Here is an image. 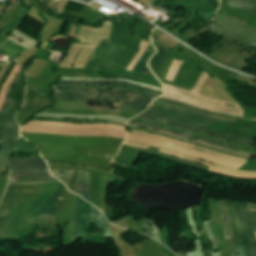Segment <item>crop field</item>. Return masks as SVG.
Wrapping results in <instances>:
<instances>
[{"label": "crop field", "instance_id": "8a807250", "mask_svg": "<svg viewBox=\"0 0 256 256\" xmlns=\"http://www.w3.org/2000/svg\"><path fill=\"white\" fill-rule=\"evenodd\" d=\"M36 145L46 161L84 165L113 171L111 160L123 139L21 133Z\"/></svg>", "mask_w": 256, "mask_h": 256}, {"label": "crop field", "instance_id": "ac0d7876", "mask_svg": "<svg viewBox=\"0 0 256 256\" xmlns=\"http://www.w3.org/2000/svg\"><path fill=\"white\" fill-rule=\"evenodd\" d=\"M55 90L54 100L69 102H116L135 108L148 107L156 98L127 90H107L53 86Z\"/></svg>", "mask_w": 256, "mask_h": 256}, {"label": "crop field", "instance_id": "34b2d1b8", "mask_svg": "<svg viewBox=\"0 0 256 256\" xmlns=\"http://www.w3.org/2000/svg\"><path fill=\"white\" fill-rule=\"evenodd\" d=\"M20 185L9 184L0 204V232L7 218L14 196ZM44 188L37 197L28 214L56 216L60 195L65 185L61 182L43 184Z\"/></svg>", "mask_w": 256, "mask_h": 256}, {"label": "crop field", "instance_id": "412701ff", "mask_svg": "<svg viewBox=\"0 0 256 256\" xmlns=\"http://www.w3.org/2000/svg\"><path fill=\"white\" fill-rule=\"evenodd\" d=\"M226 204L232 235H240L247 256H256V238L248 205L241 206L238 203L229 202H226Z\"/></svg>", "mask_w": 256, "mask_h": 256}, {"label": "crop field", "instance_id": "f4fd0767", "mask_svg": "<svg viewBox=\"0 0 256 256\" xmlns=\"http://www.w3.org/2000/svg\"><path fill=\"white\" fill-rule=\"evenodd\" d=\"M128 140L143 143V144H147V145L157 146V147H161V148H165V149H169V150H172V151L177 152V153H181V154H184V155L196 157V158L203 159V160H206V161L218 163V164L225 165V166L235 168V169H238L242 165L245 164V163H242V162H237V161H234V160L213 156V155H210V154L205 153L203 151L191 149V148H188V147H185V146H182V145L169 143V142H166V141L150 138V137H147V136L136 135V134H132V133H129V132H128Z\"/></svg>", "mask_w": 256, "mask_h": 256}, {"label": "crop field", "instance_id": "dd49c442", "mask_svg": "<svg viewBox=\"0 0 256 256\" xmlns=\"http://www.w3.org/2000/svg\"><path fill=\"white\" fill-rule=\"evenodd\" d=\"M149 111L163 113L175 118L186 120L192 123L209 126L213 123L222 122H233L234 119L216 117L214 115L206 114L196 110L187 109L184 107L164 103L155 100L154 103L147 109Z\"/></svg>", "mask_w": 256, "mask_h": 256}, {"label": "crop field", "instance_id": "e52e79f7", "mask_svg": "<svg viewBox=\"0 0 256 256\" xmlns=\"http://www.w3.org/2000/svg\"><path fill=\"white\" fill-rule=\"evenodd\" d=\"M21 132L36 133H55L79 136H111L117 138H126V131L112 128H69L53 125H24Z\"/></svg>", "mask_w": 256, "mask_h": 256}, {"label": "crop field", "instance_id": "d8731c3e", "mask_svg": "<svg viewBox=\"0 0 256 256\" xmlns=\"http://www.w3.org/2000/svg\"><path fill=\"white\" fill-rule=\"evenodd\" d=\"M90 211L91 204L76 195L72 225V238L74 242L77 238L87 234V230L92 228Z\"/></svg>", "mask_w": 256, "mask_h": 256}, {"label": "crop field", "instance_id": "5a996713", "mask_svg": "<svg viewBox=\"0 0 256 256\" xmlns=\"http://www.w3.org/2000/svg\"><path fill=\"white\" fill-rule=\"evenodd\" d=\"M18 138L19 125L15 118H13L4 131L3 142L0 149V168L7 166L8 158L16 148Z\"/></svg>", "mask_w": 256, "mask_h": 256}, {"label": "crop field", "instance_id": "3316defc", "mask_svg": "<svg viewBox=\"0 0 256 256\" xmlns=\"http://www.w3.org/2000/svg\"><path fill=\"white\" fill-rule=\"evenodd\" d=\"M164 86L166 88L165 92H167V93L183 96V97H186L188 99L197 100L199 102L209 104V105H213V106H217V107H222V108H227V109H231V110L244 112L243 109L239 106L238 103L217 100V99H214V98L209 97V96L193 93V92L183 90V89H180V88H177V87H174V86H171V85H167V84H164ZM225 104L234 105L238 108L229 107V106H226Z\"/></svg>", "mask_w": 256, "mask_h": 256}, {"label": "crop field", "instance_id": "28ad6ade", "mask_svg": "<svg viewBox=\"0 0 256 256\" xmlns=\"http://www.w3.org/2000/svg\"><path fill=\"white\" fill-rule=\"evenodd\" d=\"M214 22L245 38L256 42L255 29L227 17L224 13L217 15L214 19Z\"/></svg>", "mask_w": 256, "mask_h": 256}, {"label": "crop field", "instance_id": "d1516ede", "mask_svg": "<svg viewBox=\"0 0 256 256\" xmlns=\"http://www.w3.org/2000/svg\"><path fill=\"white\" fill-rule=\"evenodd\" d=\"M159 151L164 152V153H168V154H171V155H175V156L187 159V160H191V161H195V162L202 163V164H205V165H209V166H211L210 171H213V172H217V173H221V174H225V175H230V176L242 177V178H256V172H248V171H239V170H234V169H227V168H224V167H221V166H218V165H214V164H211V163H208V162H204V161H201V160H198V159H195V158L182 156V155L175 154V153H172V152H169V151H165V150H161V149H159Z\"/></svg>", "mask_w": 256, "mask_h": 256}, {"label": "crop field", "instance_id": "22f410ed", "mask_svg": "<svg viewBox=\"0 0 256 256\" xmlns=\"http://www.w3.org/2000/svg\"><path fill=\"white\" fill-rule=\"evenodd\" d=\"M129 124L144 126V127H147V128L156 129V130H160V131L176 134V135H179V136H182V137H186V138H189V139H192V140H196V141H201V142H204L206 144L218 146V147H221V148H224V149H227V150H231V151H235V152H241V153L255 154L256 155V152H254V151H247V150H242V149H236V148H233L231 146L214 143V142H211V141H208V140H204V139H201V138H197V137L189 136V135H186V134H182V133H179V132H176V131H173V130H169V129H165V128H160V127H156V126H152V125H148V124H144V123H140V122H136V121H133V120H131L129 122Z\"/></svg>", "mask_w": 256, "mask_h": 256}, {"label": "crop field", "instance_id": "cbeb9de0", "mask_svg": "<svg viewBox=\"0 0 256 256\" xmlns=\"http://www.w3.org/2000/svg\"><path fill=\"white\" fill-rule=\"evenodd\" d=\"M52 177L48 170L42 171H11L10 181H36L50 180Z\"/></svg>", "mask_w": 256, "mask_h": 256}, {"label": "crop field", "instance_id": "5142ce71", "mask_svg": "<svg viewBox=\"0 0 256 256\" xmlns=\"http://www.w3.org/2000/svg\"><path fill=\"white\" fill-rule=\"evenodd\" d=\"M10 170H42L48 169L43 159H11ZM15 168V169H11Z\"/></svg>", "mask_w": 256, "mask_h": 256}, {"label": "crop field", "instance_id": "d9b57169", "mask_svg": "<svg viewBox=\"0 0 256 256\" xmlns=\"http://www.w3.org/2000/svg\"><path fill=\"white\" fill-rule=\"evenodd\" d=\"M51 103L52 102L48 99L47 96L35 95L30 89L27 88L26 101L23 105L24 108H28L33 111H38L43 106H48Z\"/></svg>", "mask_w": 256, "mask_h": 256}, {"label": "crop field", "instance_id": "733c2abd", "mask_svg": "<svg viewBox=\"0 0 256 256\" xmlns=\"http://www.w3.org/2000/svg\"><path fill=\"white\" fill-rule=\"evenodd\" d=\"M138 117H142V118H146V119H150V120L164 122V123L176 126V127L186 128L188 130L198 131V132L205 133V134L211 135L213 137L221 138V139H224V140H227V141H231V142H237V143H240V144L256 146V144L253 143V142L240 141V140H236L234 138H228V137H224V136H221V135H215V134H212V133H210L208 131L199 130V129H196V128L184 126V125H181V124H178V123H174V122H171V121H167V120H163V119H159V118H155V117H151V116H147V115H143V114L139 115Z\"/></svg>", "mask_w": 256, "mask_h": 256}, {"label": "crop field", "instance_id": "4a817a6b", "mask_svg": "<svg viewBox=\"0 0 256 256\" xmlns=\"http://www.w3.org/2000/svg\"><path fill=\"white\" fill-rule=\"evenodd\" d=\"M76 192L86 200L90 201V173L83 171L79 172Z\"/></svg>", "mask_w": 256, "mask_h": 256}, {"label": "crop field", "instance_id": "bc2a9ffb", "mask_svg": "<svg viewBox=\"0 0 256 256\" xmlns=\"http://www.w3.org/2000/svg\"><path fill=\"white\" fill-rule=\"evenodd\" d=\"M29 12L23 7L20 6L17 14L11 20V22L0 32V46L5 42L6 36L3 35L4 32L14 30L27 16Z\"/></svg>", "mask_w": 256, "mask_h": 256}, {"label": "crop field", "instance_id": "214f88e0", "mask_svg": "<svg viewBox=\"0 0 256 256\" xmlns=\"http://www.w3.org/2000/svg\"><path fill=\"white\" fill-rule=\"evenodd\" d=\"M144 113L145 114H149V115H153V116H157V117H161V118H165V119H169L171 121L182 123V124H185V125H188V126H192V127H196V128H200V129H204V130L220 133L222 135L238 137V138H242V139H246V140L255 142L254 139H252V138H248V137L241 136V135H236V134H231V133H227V132L213 130L211 128L199 126V125H196V124H192V123H189V122H186V121H182V120L175 119V118H172V117L164 116V115H161V114H157V113H153V112H148V111H145Z\"/></svg>", "mask_w": 256, "mask_h": 256}, {"label": "crop field", "instance_id": "92a150f3", "mask_svg": "<svg viewBox=\"0 0 256 256\" xmlns=\"http://www.w3.org/2000/svg\"><path fill=\"white\" fill-rule=\"evenodd\" d=\"M114 42L105 40L101 43V45L96 49V51L93 53L92 57L90 58L88 65L86 68H92L97 69L98 64L105 54V52L108 50L110 46H112ZM110 49V48H109Z\"/></svg>", "mask_w": 256, "mask_h": 256}, {"label": "crop field", "instance_id": "dafd665d", "mask_svg": "<svg viewBox=\"0 0 256 256\" xmlns=\"http://www.w3.org/2000/svg\"><path fill=\"white\" fill-rule=\"evenodd\" d=\"M92 223L94 227H97L98 229L102 227L106 237H112L106 218L103 216L102 212L99 209L95 208L93 205H92Z\"/></svg>", "mask_w": 256, "mask_h": 256}, {"label": "crop field", "instance_id": "00972430", "mask_svg": "<svg viewBox=\"0 0 256 256\" xmlns=\"http://www.w3.org/2000/svg\"><path fill=\"white\" fill-rule=\"evenodd\" d=\"M220 212H221V217H222V221H223L226 237H227V240H228V246L230 248L231 254H232V256H237L235 245L233 243V240H232V237H231V233H230L228 216H227V211H226V207H225L224 201L220 202Z\"/></svg>", "mask_w": 256, "mask_h": 256}, {"label": "crop field", "instance_id": "a9b5d70f", "mask_svg": "<svg viewBox=\"0 0 256 256\" xmlns=\"http://www.w3.org/2000/svg\"><path fill=\"white\" fill-rule=\"evenodd\" d=\"M154 53H155V48L152 46V44H150L145 54L140 59V61L138 62L136 67L133 69V71L153 75L147 66V61Z\"/></svg>", "mask_w": 256, "mask_h": 256}, {"label": "crop field", "instance_id": "4177f3b9", "mask_svg": "<svg viewBox=\"0 0 256 256\" xmlns=\"http://www.w3.org/2000/svg\"><path fill=\"white\" fill-rule=\"evenodd\" d=\"M17 101L11 98V103L6 112L0 117V144L2 142L3 131L13 117Z\"/></svg>", "mask_w": 256, "mask_h": 256}, {"label": "crop field", "instance_id": "730fd06b", "mask_svg": "<svg viewBox=\"0 0 256 256\" xmlns=\"http://www.w3.org/2000/svg\"><path fill=\"white\" fill-rule=\"evenodd\" d=\"M155 47L158 48V52L155 54V56L151 59L150 61V68L155 72L157 75L158 70L165 59V57L168 55L170 52L169 50L165 49L164 47H158L155 45ZM153 72V73H154Z\"/></svg>", "mask_w": 256, "mask_h": 256}, {"label": "crop field", "instance_id": "eef30255", "mask_svg": "<svg viewBox=\"0 0 256 256\" xmlns=\"http://www.w3.org/2000/svg\"><path fill=\"white\" fill-rule=\"evenodd\" d=\"M26 49L18 46L17 44L11 42V41H7L6 44L4 46H2V48L0 49V51L4 54H6L7 56L13 58V59H17V57Z\"/></svg>", "mask_w": 256, "mask_h": 256}, {"label": "crop field", "instance_id": "ae1a2a85", "mask_svg": "<svg viewBox=\"0 0 256 256\" xmlns=\"http://www.w3.org/2000/svg\"><path fill=\"white\" fill-rule=\"evenodd\" d=\"M84 6L85 4L69 0L62 14L76 20L79 12L84 8Z\"/></svg>", "mask_w": 256, "mask_h": 256}, {"label": "crop field", "instance_id": "d3111659", "mask_svg": "<svg viewBox=\"0 0 256 256\" xmlns=\"http://www.w3.org/2000/svg\"><path fill=\"white\" fill-rule=\"evenodd\" d=\"M59 84L104 85L106 83H101V82H80V81H61ZM111 84L123 85V86H127V87H132V88L144 90V91H147V92H150V93H153V94H157V95H160V96L162 95L161 92L150 90V89L139 87V86H135V85L125 84V83H111Z\"/></svg>", "mask_w": 256, "mask_h": 256}, {"label": "crop field", "instance_id": "750c4746", "mask_svg": "<svg viewBox=\"0 0 256 256\" xmlns=\"http://www.w3.org/2000/svg\"><path fill=\"white\" fill-rule=\"evenodd\" d=\"M164 96H165V97L174 98V99H178V100H181V101H184V102H187V103H191V104H194V105H197V106H200V107H204V108L210 109V110H212V111L243 116V113H241V112L229 111V110H222V109L215 108V107H212V106H208V105H205V104L196 102V101H192V100H187V99L179 98V97H176V96H173V95H169V94H166V93L164 94Z\"/></svg>", "mask_w": 256, "mask_h": 256}, {"label": "crop field", "instance_id": "bd1437ed", "mask_svg": "<svg viewBox=\"0 0 256 256\" xmlns=\"http://www.w3.org/2000/svg\"><path fill=\"white\" fill-rule=\"evenodd\" d=\"M228 6L256 13V3L244 0H228Z\"/></svg>", "mask_w": 256, "mask_h": 256}, {"label": "crop field", "instance_id": "1d83c4d3", "mask_svg": "<svg viewBox=\"0 0 256 256\" xmlns=\"http://www.w3.org/2000/svg\"><path fill=\"white\" fill-rule=\"evenodd\" d=\"M62 80L126 81V82L134 83V84H137V85H140V86H144V87H147V88H152V89H155V90H158V91H162V92H163V89H162V88H158V87L146 85V84H144V83H138V82L129 81V80H126V79H108V80H105V79L62 78Z\"/></svg>", "mask_w": 256, "mask_h": 256}, {"label": "crop field", "instance_id": "120bbe31", "mask_svg": "<svg viewBox=\"0 0 256 256\" xmlns=\"http://www.w3.org/2000/svg\"><path fill=\"white\" fill-rule=\"evenodd\" d=\"M51 173L68 186L73 170H51Z\"/></svg>", "mask_w": 256, "mask_h": 256}, {"label": "crop field", "instance_id": "d32e631a", "mask_svg": "<svg viewBox=\"0 0 256 256\" xmlns=\"http://www.w3.org/2000/svg\"><path fill=\"white\" fill-rule=\"evenodd\" d=\"M205 226H206L207 233H208V236H209V238H210V241H211V243L213 244V250H212L211 254H212V256H220L219 251H218V253H213V251H214L215 249L218 250V248H217V245H216V240H215V238H214V236H213V231H212V227H211V222H205Z\"/></svg>", "mask_w": 256, "mask_h": 256}, {"label": "crop field", "instance_id": "5866460e", "mask_svg": "<svg viewBox=\"0 0 256 256\" xmlns=\"http://www.w3.org/2000/svg\"><path fill=\"white\" fill-rule=\"evenodd\" d=\"M210 27H213V28H215V29H217V30H219V31H221V32H223V33L229 35V36H232V37H234V38H236V39L242 41V42L249 43V44H252V45H255V46H256V43L251 42V41L246 40V39H243V38H241V37L235 35L234 33L230 32V31H228V30H226V29H224V28H222V27H220V26H218V25H216V24H214V23H212V24L210 25Z\"/></svg>", "mask_w": 256, "mask_h": 256}, {"label": "crop field", "instance_id": "028f5c9d", "mask_svg": "<svg viewBox=\"0 0 256 256\" xmlns=\"http://www.w3.org/2000/svg\"><path fill=\"white\" fill-rule=\"evenodd\" d=\"M135 120L145 122V123L154 124V125H158V126L165 127V128H170V129L177 130V131H180V132H183V133H186V134H190V135H194V136L196 134L194 132L182 130V129H179V128L171 127V126H168V125H164V124H161V123H157V122H153V121H149V120H145V119L137 118Z\"/></svg>", "mask_w": 256, "mask_h": 256}, {"label": "crop field", "instance_id": "e1f06a70", "mask_svg": "<svg viewBox=\"0 0 256 256\" xmlns=\"http://www.w3.org/2000/svg\"><path fill=\"white\" fill-rule=\"evenodd\" d=\"M147 47H148V44H145V43L142 42L139 53L134 58V60L131 62V64L129 65L127 70L132 71V69L134 68V66L136 65V63L138 62V60L140 59V57L142 56V54L144 53V51L146 50Z\"/></svg>", "mask_w": 256, "mask_h": 256}, {"label": "crop field", "instance_id": "0bd39190", "mask_svg": "<svg viewBox=\"0 0 256 256\" xmlns=\"http://www.w3.org/2000/svg\"><path fill=\"white\" fill-rule=\"evenodd\" d=\"M20 70H21V69H20ZM21 73H22V70H21L20 73L18 74L17 80L15 81L13 87L10 88V90H9L7 96H6L5 103H4L3 107H2V109L0 110V116L5 112L6 108L8 107V105H9V103H10V94H11L12 90L14 89V87H15V85H16V83H17V81H18V79H19V77H20V75H21Z\"/></svg>", "mask_w": 256, "mask_h": 256}, {"label": "crop field", "instance_id": "b80d0937", "mask_svg": "<svg viewBox=\"0 0 256 256\" xmlns=\"http://www.w3.org/2000/svg\"><path fill=\"white\" fill-rule=\"evenodd\" d=\"M58 85V84H56ZM59 86H73V87H90V88H107V87H115V86H79V85H59ZM121 88V87H119ZM123 89H127V90H131V91H135V92H140V93H144V94H148V95H152V96H156L147 92H143V91H139V90H135V89H129V88H123ZM156 97H160V96H156Z\"/></svg>", "mask_w": 256, "mask_h": 256}, {"label": "crop field", "instance_id": "c035e120", "mask_svg": "<svg viewBox=\"0 0 256 256\" xmlns=\"http://www.w3.org/2000/svg\"><path fill=\"white\" fill-rule=\"evenodd\" d=\"M208 77V74L204 73L201 75L200 79L198 80V82L196 83L195 87L193 88V91L199 93L202 85L204 84V82L206 81Z\"/></svg>", "mask_w": 256, "mask_h": 256}, {"label": "crop field", "instance_id": "c21b1889", "mask_svg": "<svg viewBox=\"0 0 256 256\" xmlns=\"http://www.w3.org/2000/svg\"><path fill=\"white\" fill-rule=\"evenodd\" d=\"M150 221H151V225H152V229H153V233H154V238L161 241V239H160V228L158 226H156L155 219H152Z\"/></svg>", "mask_w": 256, "mask_h": 256}, {"label": "crop field", "instance_id": "03da06ac", "mask_svg": "<svg viewBox=\"0 0 256 256\" xmlns=\"http://www.w3.org/2000/svg\"><path fill=\"white\" fill-rule=\"evenodd\" d=\"M16 63L12 61L11 65L9 66V68L7 69L6 73L3 75V77L0 79V89L1 86L3 84V82L6 80V78L9 76V74L12 72V70L14 69Z\"/></svg>", "mask_w": 256, "mask_h": 256}, {"label": "crop field", "instance_id": "b54c1fbb", "mask_svg": "<svg viewBox=\"0 0 256 256\" xmlns=\"http://www.w3.org/2000/svg\"><path fill=\"white\" fill-rule=\"evenodd\" d=\"M249 204L252 219H253V226H254V232L256 234V205L255 204Z\"/></svg>", "mask_w": 256, "mask_h": 256}, {"label": "crop field", "instance_id": "5d738f31", "mask_svg": "<svg viewBox=\"0 0 256 256\" xmlns=\"http://www.w3.org/2000/svg\"><path fill=\"white\" fill-rule=\"evenodd\" d=\"M143 225H144V228H145L146 233H148V234H150L151 236H153V234H152V229H151V225H150L149 220H143ZM148 234H147V235H148ZM150 235H149V236H150Z\"/></svg>", "mask_w": 256, "mask_h": 256}, {"label": "crop field", "instance_id": "d23c7cc5", "mask_svg": "<svg viewBox=\"0 0 256 256\" xmlns=\"http://www.w3.org/2000/svg\"><path fill=\"white\" fill-rule=\"evenodd\" d=\"M129 127V126H128ZM133 128V127H132ZM136 129V128H135ZM138 130V129H137ZM142 131H147V130H142ZM147 132H151V133H156V132H152V131H147ZM158 134H161V133H158ZM161 135H165V134H161ZM165 136H167V135H165ZM170 137V136H169ZM173 138V137H172ZM174 139H176V140H180V139H177V138H174ZM180 141H184V140H180ZM187 141V140H186ZM186 141H184V142H186ZM189 143V142H188ZM193 144V143H192ZM195 145H197V144H195ZM199 146H201V145H199ZM203 147H206V146H203ZM207 148H210V147H207ZM210 149H213V148H210ZM214 150H217V149H214ZM218 151H221V150H218ZM221 152H223V153H226V154H230V155H234V156H238V155H235V154H231V153H228V152H224V151H221ZM238 157H242V156H238Z\"/></svg>", "mask_w": 256, "mask_h": 256}, {"label": "crop field", "instance_id": "425ffa30", "mask_svg": "<svg viewBox=\"0 0 256 256\" xmlns=\"http://www.w3.org/2000/svg\"><path fill=\"white\" fill-rule=\"evenodd\" d=\"M162 99L171 100V99H167V98H164V97H162ZM171 101H175V100H171ZM175 102H180V101H175ZM180 103L190 105V104H187V103H184V102H180ZM190 106H193V107H196V108H199V109H203V108H200V107H197V106H194V105H190ZM203 110L209 111L207 109H203ZM209 112H212V111H209ZM212 113H216V112H212ZM217 114H221V113H217ZM223 115H227V114H223ZM227 116H232V117L238 118V116H233V115H227Z\"/></svg>", "mask_w": 256, "mask_h": 256}, {"label": "crop field", "instance_id": "25e5ab78", "mask_svg": "<svg viewBox=\"0 0 256 256\" xmlns=\"http://www.w3.org/2000/svg\"><path fill=\"white\" fill-rule=\"evenodd\" d=\"M126 145H130V146H134V147H138V148H143V149H147L149 148V146H144V145H140V144H136V143H132V142H129V141H125Z\"/></svg>", "mask_w": 256, "mask_h": 256}, {"label": "crop field", "instance_id": "73cf0c24", "mask_svg": "<svg viewBox=\"0 0 256 256\" xmlns=\"http://www.w3.org/2000/svg\"><path fill=\"white\" fill-rule=\"evenodd\" d=\"M236 248H237V252H238L239 256H245L244 251H243V246H239Z\"/></svg>", "mask_w": 256, "mask_h": 256}, {"label": "crop field", "instance_id": "89e229c0", "mask_svg": "<svg viewBox=\"0 0 256 256\" xmlns=\"http://www.w3.org/2000/svg\"><path fill=\"white\" fill-rule=\"evenodd\" d=\"M54 181H58V180H54ZM54 181L16 182V183H39V182H54ZM9 183H11V182H9Z\"/></svg>", "mask_w": 256, "mask_h": 256}, {"label": "crop field", "instance_id": "1f2cbd36", "mask_svg": "<svg viewBox=\"0 0 256 256\" xmlns=\"http://www.w3.org/2000/svg\"><path fill=\"white\" fill-rule=\"evenodd\" d=\"M66 122H70V121H66ZM72 123H79V122H72ZM81 123H110V122H81ZM111 124H114V123H111ZM116 125H119V124H116Z\"/></svg>", "mask_w": 256, "mask_h": 256}, {"label": "crop field", "instance_id": "dbb93151", "mask_svg": "<svg viewBox=\"0 0 256 256\" xmlns=\"http://www.w3.org/2000/svg\"><path fill=\"white\" fill-rule=\"evenodd\" d=\"M124 108L130 109V110H133V111H136V112H139V113L142 112V110H138V109H135V108H132V107H128V106H125V105H124Z\"/></svg>", "mask_w": 256, "mask_h": 256}]
</instances>
